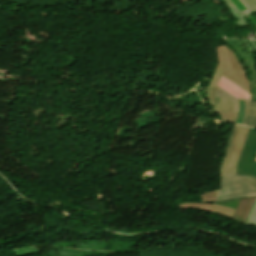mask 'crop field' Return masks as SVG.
Instances as JSON below:
<instances>
[{
	"instance_id": "obj_13",
	"label": "crop field",
	"mask_w": 256,
	"mask_h": 256,
	"mask_svg": "<svg viewBox=\"0 0 256 256\" xmlns=\"http://www.w3.org/2000/svg\"><path fill=\"white\" fill-rule=\"evenodd\" d=\"M244 115V100L239 99V113L235 123L240 124Z\"/></svg>"
},
{
	"instance_id": "obj_8",
	"label": "crop field",
	"mask_w": 256,
	"mask_h": 256,
	"mask_svg": "<svg viewBox=\"0 0 256 256\" xmlns=\"http://www.w3.org/2000/svg\"><path fill=\"white\" fill-rule=\"evenodd\" d=\"M254 200H255V197L241 199V201L232 217V220L245 224L247 221L248 215L251 211Z\"/></svg>"
},
{
	"instance_id": "obj_2",
	"label": "crop field",
	"mask_w": 256,
	"mask_h": 256,
	"mask_svg": "<svg viewBox=\"0 0 256 256\" xmlns=\"http://www.w3.org/2000/svg\"><path fill=\"white\" fill-rule=\"evenodd\" d=\"M256 195L255 176L220 175L216 202Z\"/></svg>"
},
{
	"instance_id": "obj_12",
	"label": "crop field",
	"mask_w": 256,
	"mask_h": 256,
	"mask_svg": "<svg viewBox=\"0 0 256 256\" xmlns=\"http://www.w3.org/2000/svg\"><path fill=\"white\" fill-rule=\"evenodd\" d=\"M246 224L256 226V200Z\"/></svg>"
},
{
	"instance_id": "obj_14",
	"label": "crop field",
	"mask_w": 256,
	"mask_h": 256,
	"mask_svg": "<svg viewBox=\"0 0 256 256\" xmlns=\"http://www.w3.org/2000/svg\"><path fill=\"white\" fill-rule=\"evenodd\" d=\"M232 2L235 4V6L238 8L239 11L245 10L243 5L238 0H232Z\"/></svg>"
},
{
	"instance_id": "obj_16",
	"label": "crop field",
	"mask_w": 256,
	"mask_h": 256,
	"mask_svg": "<svg viewBox=\"0 0 256 256\" xmlns=\"http://www.w3.org/2000/svg\"><path fill=\"white\" fill-rule=\"evenodd\" d=\"M252 169H253L254 175L256 176V162L255 161L253 162Z\"/></svg>"
},
{
	"instance_id": "obj_4",
	"label": "crop field",
	"mask_w": 256,
	"mask_h": 256,
	"mask_svg": "<svg viewBox=\"0 0 256 256\" xmlns=\"http://www.w3.org/2000/svg\"><path fill=\"white\" fill-rule=\"evenodd\" d=\"M225 42L236 50L238 55L244 61L251 75L248 77L250 81L251 100L256 101V62L253 54L242 39L225 40Z\"/></svg>"
},
{
	"instance_id": "obj_17",
	"label": "crop field",
	"mask_w": 256,
	"mask_h": 256,
	"mask_svg": "<svg viewBox=\"0 0 256 256\" xmlns=\"http://www.w3.org/2000/svg\"><path fill=\"white\" fill-rule=\"evenodd\" d=\"M254 160L256 161V154H255Z\"/></svg>"
},
{
	"instance_id": "obj_15",
	"label": "crop field",
	"mask_w": 256,
	"mask_h": 256,
	"mask_svg": "<svg viewBox=\"0 0 256 256\" xmlns=\"http://www.w3.org/2000/svg\"><path fill=\"white\" fill-rule=\"evenodd\" d=\"M246 17L256 26V20L254 18H252L250 15Z\"/></svg>"
},
{
	"instance_id": "obj_9",
	"label": "crop field",
	"mask_w": 256,
	"mask_h": 256,
	"mask_svg": "<svg viewBox=\"0 0 256 256\" xmlns=\"http://www.w3.org/2000/svg\"><path fill=\"white\" fill-rule=\"evenodd\" d=\"M242 124L256 128V102L245 100V115Z\"/></svg>"
},
{
	"instance_id": "obj_7",
	"label": "crop field",
	"mask_w": 256,
	"mask_h": 256,
	"mask_svg": "<svg viewBox=\"0 0 256 256\" xmlns=\"http://www.w3.org/2000/svg\"><path fill=\"white\" fill-rule=\"evenodd\" d=\"M244 7L247 9L245 11L239 12L237 8L234 6V4L231 2V0H224V2L227 4V6L230 8L232 14L236 17L238 20L236 24L247 25L246 22L242 23V21H245L243 16L248 14H253L256 12V0H239Z\"/></svg>"
},
{
	"instance_id": "obj_11",
	"label": "crop field",
	"mask_w": 256,
	"mask_h": 256,
	"mask_svg": "<svg viewBox=\"0 0 256 256\" xmlns=\"http://www.w3.org/2000/svg\"><path fill=\"white\" fill-rule=\"evenodd\" d=\"M216 193H217V189L213 190L211 192L205 193V194H201V201L202 202H215L216 199Z\"/></svg>"
},
{
	"instance_id": "obj_6",
	"label": "crop field",
	"mask_w": 256,
	"mask_h": 256,
	"mask_svg": "<svg viewBox=\"0 0 256 256\" xmlns=\"http://www.w3.org/2000/svg\"><path fill=\"white\" fill-rule=\"evenodd\" d=\"M255 152L256 130L251 128L243 154L237 165V175H253L251 165Z\"/></svg>"
},
{
	"instance_id": "obj_3",
	"label": "crop field",
	"mask_w": 256,
	"mask_h": 256,
	"mask_svg": "<svg viewBox=\"0 0 256 256\" xmlns=\"http://www.w3.org/2000/svg\"><path fill=\"white\" fill-rule=\"evenodd\" d=\"M249 129L233 125L223 154L220 174L236 175V164L242 154Z\"/></svg>"
},
{
	"instance_id": "obj_1",
	"label": "crop field",
	"mask_w": 256,
	"mask_h": 256,
	"mask_svg": "<svg viewBox=\"0 0 256 256\" xmlns=\"http://www.w3.org/2000/svg\"><path fill=\"white\" fill-rule=\"evenodd\" d=\"M219 64L206 92V97L220 120L235 122L238 98L250 100L249 81L236 55L225 45L217 46Z\"/></svg>"
},
{
	"instance_id": "obj_10",
	"label": "crop field",
	"mask_w": 256,
	"mask_h": 256,
	"mask_svg": "<svg viewBox=\"0 0 256 256\" xmlns=\"http://www.w3.org/2000/svg\"><path fill=\"white\" fill-rule=\"evenodd\" d=\"M35 254H39V252L36 248L16 250L13 252L14 256H26V255H35Z\"/></svg>"
},
{
	"instance_id": "obj_5",
	"label": "crop field",
	"mask_w": 256,
	"mask_h": 256,
	"mask_svg": "<svg viewBox=\"0 0 256 256\" xmlns=\"http://www.w3.org/2000/svg\"><path fill=\"white\" fill-rule=\"evenodd\" d=\"M239 201L240 200L225 202V203H218V204L188 203V204L177 205V207L180 210L195 208V209H199V210L206 211L209 213L221 215V216L231 219Z\"/></svg>"
},
{
	"instance_id": "obj_18",
	"label": "crop field",
	"mask_w": 256,
	"mask_h": 256,
	"mask_svg": "<svg viewBox=\"0 0 256 256\" xmlns=\"http://www.w3.org/2000/svg\"><path fill=\"white\" fill-rule=\"evenodd\" d=\"M252 52H256V51H252Z\"/></svg>"
}]
</instances>
